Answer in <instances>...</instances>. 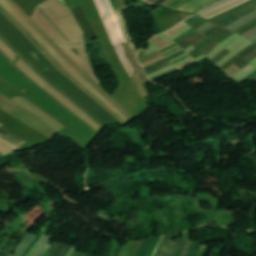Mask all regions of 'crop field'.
Here are the masks:
<instances>
[{
	"label": "crop field",
	"mask_w": 256,
	"mask_h": 256,
	"mask_svg": "<svg viewBox=\"0 0 256 256\" xmlns=\"http://www.w3.org/2000/svg\"><path fill=\"white\" fill-rule=\"evenodd\" d=\"M255 10H256V3H254L251 6H249L246 9L236 13L235 15H233V16H231V17H229V18H227V19L217 23L216 25H218V26L223 28V27L229 25L230 23L234 22L235 20H237V19H239V18H241V17H243V16H245V15H247V14H249V13L255 11Z\"/></svg>",
	"instance_id": "obj_1"
},
{
	"label": "crop field",
	"mask_w": 256,
	"mask_h": 256,
	"mask_svg": "<svg viewBox=\"0 0 256 256\" xmlns=\"http://www.w3.org/2000/svg\"><path fill=\"white\" fill-rule=\"evenodd\" d=\"M115 13H116V15H117V17H118V19L120 21L122 30H123V32H124L128 42H129L131 48H132V50L137 52V49H136V47L134 45L133 39H132V37L130 35V32H129L128 28H127L126 22H125L124 17H123V14L121 12V9L115 10Z\"/></svg>",
	"instance_id": "obj_2"
},
{
	"label": "crop field",
	"mask_w": 256,
	"mask_h": 256,
	"mask_svg": "<svg viewBox=\"0 0 256 256\" xmlns=\"http://www.w3.org/2000/svg\"><path fill=\"white\" fill-rule=\"evenodd\" d=\"M0 137L15 144L18 147L27 142L2 128H0Z\"/></svg>",
	"instance_id": "obj_3"
},
{
	"label": "crop field",
	"mask_w": 256,
	"mask_h": 256,
	"mask_svg": "<svg viewBox=\"0 0 256 256\" xmlns=\"http://www.w3.org/2000/svg\"><path fill=\"white\" fill-rule=\"evenodd\" d=\"M35 237L36 235L27 233L25 238L19 243L17 248L14 250L16 253L15 256H21L25 248L31 244V242L35 239Z\"/></svg>",
	"instance_id": "obj_4"
},
{
	"label": "crop field",
	"mask_w": 256,
	"mask_h": 256,
	"mask_svg": "<svg viewBox=\"0 0 256 256\" xmlns=\"http://www.w3.org/2000/svg\"><path fill=\"white\" fill-rule=\"evenodd\" d=\"M157 239V237H149L145 239L141 249L139 250L137 256H146L150 247L154 243V241Z\"/></svg>",
	"instance_id": "obj_5"
},
{
	"label": "crop field",
	"mask_w": 256,
	"mask_h": 256,
	"mask_svg": "<svg viewBox=\"0 0 256 256\" xmlns=\"http://www.w3.org/2000/svg\"><path fill=\"white\" fill-rule=\"evenodd\" d=\"M210 0H194L193 2L187 4L186 6H184L183 8H181L179 11H186V12H191L195 9H197L198 7H200L201 5L207 3Z\"/></svg>",
	"instance_id": "obj_6"
},
{
	"label": "crop field",
	"mask_w": 256,
	"mask_h": 256,
	"mask_svg": "<svg viewBox=\"0 0 256 256\" xmlns=\"http://www.w3.org/2000/svg\"><path fill=\"white\" fill-rule=\"evenodd\" d=\"M167 61L168 60H166V61H164V62H162V63H160L158 65H155V66L145 70L146 75L172 65L170 62H167Z\"/></svg>",
	"instance_id": "obj_7"
},
{
	"label": "crop field",
	"mask_w": 256,
	"mask_h": 256,
	"mask_svg": "<svg viewBox=\"0 0 256 256\" xmlns=\"http://www.w3.org/2000/svg\"><path fill=\"white\" fill-rule=\"evenodd\" d=\"M191 1L192 0H176L174 3L170 4L168 7L172 8L174 10H178Z\"/></svg>",
	"instance_id": "obj_8"
},
{
	"label": "crop field",
	"mask_w": 256,
	"mask_h": 256,
	"mask_svg": "<svg viewBox=\"0 0 256 256\" xmlns=\"http://www.w3.org/2000/svg\"><path fill=\"white\" fill-rule=\"evenodd\" d=\"M46 236L47 235H45V234L42 236V238L38 241V243L33 247V249L29 252V254L27 256H33L34 255V253L37 251V249L39 248L41 243L44 241Z\"/></svg>",
	"instance_id": "obj_9"
},
{
	"label": "crop field",
	"mask_w": 256,
	"mask_h": 256,
	"mask_svg": "<svg viewBox=\"0 0 256 256\" xmlns=\"http://www.w3.org/2000/svg\"><path fill=\"white\" fill-rule=\"evenodd\" d=\"M182 240H183V238L181 237V238L179 239V241L175 244V246L172 248V250H171L169 256H173V255H174V253L176 252L178 246L181 244Z\"/></svg>",
	"instance_id": "obj_10"
},
{
	"label": "crop field",
	"mask_w": 256,
	"mask_h": 256,
	"mask_svg": "<svg viewBox=\"0 0 256 256\" xmlns=\"http://www.w3.org/2000/svg\"><path fill=\"white\" fill-rule=\"evenodd\" d=\"M218 1H219V0H213V1H211V2H209V3H207V4H205V5L201 6L200 8H198L197 10H195L193 13H197V12L201 11L202 9H204V8L210 6V5H212V4H214V3L218 2Z\"/></svg>",
	"instance_id": "obj_11"
},
{
	"label": "crop field",
	"mask_w": 256,
	"mask_h": 256,
	"mask_svg": "<svg viewBox=\"0 0 256 256\" xmlns=\"http://www.w3.org/2000/svg\"><path fill=\"white\" fill-rule=\"evenodd\" d=\"M186 242H187V240L184 239V241L182 242V244L180 245L179 249L177 250V252L175 253L174 256H180L181 255L183 247L185 246Z\"/></svg>",
	"instance_id": "obj_12"
},
{
	"label": "crop field",
	"mask_w": 256,
	"mask_h": 256,
	"mask_svg": "<svg viewBox=\"0 0 256 256\" xmlns=\"http://www.w3.org/2000/svg\"><path fill=\"white\" fill-rule=\"evenodd\" d=\"M235 1H237V0H232V1L228 2V3H226V4H223V5H221V6L217 7V8H214V9L210 10L209 12L203 14L202 16H204V15H206V14H208V13H211V12H213V11H215V10H218V9L224 7V6H227V5H229V4H231V3L235 2Z\"/></svg>",
	"instance_id": "obj_13"
},
{
	"label": "crop field",
	"mask_w": 256,
	"mask_h": 256,
	"mask_svg": "<svg viewBox=\"0 0 256 256\" xmlns=\"http://www.w3.org/2000/svg\"><path fill=\"white\" fill-rule=\"evenodd\" d=\"M254 58H256V50L253 51L251 54H249L247 57H245L244 59H246L247 61H252Z\"/></svg>",
	"instance_id": "obj_14"
},
{
	"label": "crop field",
	"mask_w": 256,
	"mask_h": 256,
	"mask_svg": "<svg viewBox=\"0 0 256 256\" xmlns=\"http://www.w3.org/2000/svg\"><path fill=\"white\" fill-rule=\"evenodd\" d=\"M196 243L197 242H195V241L192 242V245H191V247H190V249H189V251H188L186 256H192V253H193V250L195 248Z\"/></svg>",
	"instance_id": "obj_15"
},
{
	"label": "crop field",
	"mask_w": 256,
	"mask_h": 256,
	"mask_svg": "<svg viewBox=\"0 0 256 256\" xmlns=\"http://www.w3.org/2000/svg\"><path fill=\"white\" fill-rule=\"evenodd\" d=\"M179 238L176 237V239L171 243V245L169 246V248L167 249V251L165 252V254L163 256H168L172 246L175 244V242L178 240Z\"/></svg>",
	"instance_id": "obj_16"
},
{
	"label": "crop field",
	"mask_w": 256,
	"mask_h": 256,
	"mask_svg": "<svg viewBox=\"0 0 256 256\" xmlns=\"http://www.w3.org/2000/svg\"><path fill=\"white\" fill-rule=\"evenodd\" d=\"M172 241H173V240H172ZM170 242H171V240H168V241H167L166 245H165L164 248L161 250V252L159 253L158 256H162V254L164 253L165 249L169 246Z\"/></svg>",
	"instance_id": "obj_17"
},
{
	"label": "crop field",
	"mask_w": 256,
	"mask_h": 256,
	"mask_svg": "<svg viewBox=\"0 0 256 256\" xmlns=\"http://www.w3.org/2000/svg\"><path fill=\"white\" fill-rule=\"evenodd\" d=\"M14 241H10L7 246L5 247L4 251L2 252V254L0 256H4V254L6 253V251L8 250V248L12 245Z\"/></svg>",
	"instance_id": "obj_18"
},
{
	"label": "crop field",
	"mask_w": 256,
	"mask_h": 256,
	"mask_svg": "<svg viewBox=\"0 0 256 256\" xmlns=\"http://www.w3.org/2000/svg\"><path fill=\"white\" fill-rule=\"evenodd\" d=\"M50 245H51V242H49V243L45 246V248L43 249V251L41 252V254H40L39 256H43V255L45 254V252L48 250V248L50 247Z\"/></svg>",
	"instance_id": "obj_19"
},
{
	"label": "crop field",
	"mask_w": 256,
	"mask_h": 256,
	"mask_svg": "<svg viewBox=\"0 0 256 256\" xmlns=\"http://www.w3.org/2000/svg\"><path fill=\"white\" fill-rule=\"evenodd\" d=\"M200 246H201V243L198 242L197 245H196V248H195V250H194L193 256H196V254H197V252H198Z\"/></svg>",
	"instance_id": "obj_20"
},
{
	"label": "crop field",
	"mask_w": 256,
	"mask_h": 256,
	"mask_svg": "<svg viewBox=\"0 0 256 256\" xmlns=\"http://www.w3.org/2000/svg\"><path fill=\"white\" fill-rule=\"evenodd\" d=\"M21 239V238H20ZM20 239H18L14 245L11 247V249L9 250V252L6 254V256H9V253L14 249L15 245L20 241ZM11 254V253H10Z\"/></svg>",
	"instance_id": "obj_21"
},
{
	"label": "crop field",
	"mask_w": 256,
	"mask_h": 256,
	"mask_svg": "<svg viewBox=\"0 0 256 256\" xmlns=\"http://www.w3.org/2000/svg\"><path fill=\"white\" fill-rule=\"evenodd\" d=\"M62 246V244H58V246L55 248V250L52 252V254L50 256H54L55 253L58 251V249Z\"/></svg>",
	"instance_id": "obj_22"
},
{
	"label": "crop field",
	"mask_w": 256,
	"mask_h": 256,
	"mask_svg": "<svg viewBox=\"0 0 256 256\" xmlns=\"http://www.w3.org/2000/svg\"><path fill=\"white\" fill-rule=\"evenodd\" d=\"M8 241H9V239L7 238V239L5 240V242L2 244V246L0 247V253H1V251L4 249V247L6 246V244L8 243Z\"/></svg>",
	"instance_id": "obj_23"
},
{
	"label": "crop field",
	"mask_w": 256,
	"mask_h": 256,
	"mask_svg": "<svg viewBox=\"0 0 256 256\" xmlns=\"http://www.w3.org/2000/svg\"><path fill=\"white\" fill-rule=\"evenodd\" d=\"M121 248H122V247L120 246V244H118V247H117L115 256H119V253H120Z\"/></svg>",
	"instance_id": "obj_24"
},
{
	"label": "crop field",
	"mask_w": 256,
	"mask_h": 256,
	"mask_svg": "<svg viewBox=\"0 0 256 256\" xmlns=\"http://www.w3.org/2000/svg\"><path fill=\"white\" fill-rule=\"evenodd\" d=\"M204 249H205V246L202 245L197 256H202Z\"/></svg>",
	"instance_id": "obj_25"
},
{
	"label": "crop field",
	"mask_w": 256,
	"mask_h": 256,
	"mask_svg": "<svg viewBox=\"0 0 256 256\" xmlns=\"http://www.w3.org/2000/svg\"><path fill=\"white\" fill-rule=\"evenodd\" d=\"M70 247H67V249L64 251V253L61 256H66V254L69 252Z\"/></svg>",
	"instance_id": "obj_26"
},
{
	"label": "crop field",
	"mask_w": 256,
	"mask_h": 256,
	"mask_svg": "<svg viewBox=\"0 0 256 256\" xmlns=\"http://www.w3.org/2000/svg\"><path fill=\"white\" fill-rule=\"evenodd\" d=\"M174 0H167L165 3H163L162 5H165V6H167V5H169L171 2H173Z\"/></svg>",
	"instance_id": "obj_27"
},
{
	"label": "crop field",
	"mask_w": 256,
	"mask_h": 256,
	"mask_svg": "<svg viewBox=\"0 0 256 256\" xmlns=\"http://www.w3.org/2000/svg\"><path fill=\"white\" fill-rule=\"evenodd\" d=\"M187 251H188V249L184 248L183 253H182V255H181V256H185V255H186V253H187Z\"/></svg>",
	"instance_id": "obj_28"
},
{
	"label": "crop field",
	"mask_w": 256,
	"mask_h": 256,
	"mask_svg": "<svg viewBox=\"0 0 256 256\" xmlns=\"http://www.w3.org/2000/svg\"><path fill=\"white\" fill-rule=\"evenodd\" d=\"M164 1H166V0H159V1H157L156 3H154V4L160 5V4H162Z\"/></svg>",
	"instance_id": "obj_29"
},
{
	"label": "crop field",
	"mask_w": 256,
	"mask_h": 256,
	"mask_svg": "<svg viewBox=\"0 0 256 256\" xmlns=\"http://www.w3.org/2000/svg\"><path fill=\"white\" fill-rule=\"evenodd\" d=\"M63 247H64V244H63V246L59 249V251L56 253L55 256H57V255L59 254V252L62 250Z\"/></svg>",
	"instance_id": "obj_30"
},
{
	"label": "crop field",
	"mask_w": 256,
	"mask_h": 256,
	"mask_svg": "<svg viewBox=\"0 0 256 256\" xmlns=\"http://www.w3.org/2000/svg\"><path fill=\"white\" fill-rule=\"evenodd\" d=\"M156 0H149L147 3H150V4H152V3H154Z\"/></svg>",
	"instance_id": "obj_31"
},
{
	"label": "crop field",
	"mask_w": 256,
	"mask_h": 256,
	"mask_svg": "<svg viewBox=\"0 0 256 256\" xmlns=\"http://www.w3.org/2000/svg\"><path fill=\"white\" fill-rule=\"evenodd\" d=\"M65 248H66V245H65V247L63 248V250L60 252V254H59L58 256H60V255L63 253V251L65 250Z\"/></svg>",
	"instance_id": "obj_32"
},
{
	"label": "crop field",
	"mask_w": 256,
	"mask_h": 256,
	"mask_svg": "<svg viewBox=\"0 0 256 256\" xmlns=\"http://www.w3.org/2000/svg\"><path fill=\"white\" fill-rule=\"evenodd\" d=\"M57 244H55V246L53 247V249L56 247ZM53 249L49 252V254L47 256L50 255V253L53 251Z\"/></svg>",
	"instance_id": "obj_33"
},
{
	"label": "crop field",
	"mask_w": 256,
	"mask_h": 256,
	"mask_svg": "<svg viewBox=\"0 0 256 256\" xmlns=\"http://www.w3.org/2000/svg\"><path fill=\"white\" fill-rule=\"evenodd\" d=\"M83 254L82 253H79L78 256H82Z\"/></svg>",
	"instance_id": "obj_34"
},
{
	"label": "crop field",
	"mask_w": 256,
	"mask_h": 256,
	"mask_svg": "<svg viewBox=\"0 0 256 256\" xmlns=\"http://www.w3.org/2000/svg\"><path fill=\"white\" fill-rule=\"evenodd\" d=\"M94 254L93 253H91L89 256H93Z\"/></svg>",
	"instance_id": "obj_35"
},
{
	"label": "crop field",
	"mask_w": 256,
	"mask_h": 256,
	"mask_svg": "<svg viewBox=\"0 0 256 256\" xmlns=\"http://www.w3.org/2000/svg\"><path fill=\"white\" fill-rule=\"evenodd\" d=\"M143 1H145V2H146V1H148V0H143Z\"/></svg>",
	"instance_id": "obj_36"
},
{
	"label": "crop field",
	"mask_w": 256,
	"mask_h": 256,
	"mask_svg": "<svg viewBox=\"0 0 256 256\" xmlns=\"http://www.w3.org/2000/svg\"><path fill=\"white\" fill-rule=\"evenodd\" d=\"M256 45V43H254Z\"/></svg>",
	"instance_id": "obj_37"
}]
</instances>
